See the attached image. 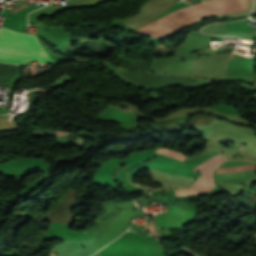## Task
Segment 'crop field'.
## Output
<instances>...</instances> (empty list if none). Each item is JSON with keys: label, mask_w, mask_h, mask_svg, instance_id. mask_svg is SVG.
Masks as SVG:
<instances>
[{"label": "crop field", "mask_w": 256, "mask_h": 256, "mask_svg": "<svg viewBox=\"0 0 256 256\" xmlns=\"http://www.w3.org/2000/svg\"><path fill=\"white\" fill-rule=\"evenodd\" d=\"M247 0H209L182 8L136 32L162 38L201 18L222 13H246Z\"/></svg>", "instance_id": "8a807250"}, {"label": "crop field", "mask_w": 256, "mask_h": 256, "mask_svg": "<svg viewBox=\"0 0 256 256\" xmlns=\"http://www.w3.org/2000/svg\"><path fill=\"white\" fill-rule=\"evenodd\" d=\"M0 51L26 53L48 57L35 35L0 30ZM0 52V61L24 65L28 60L37 59L38 64L53 62L50 58H43L25 54Z\"/></svg>", "instance_id": "ac0d7876"}, {"label": "crop field", "mask_w": 256, "mask_h": 256, "mask_svg": "<svg viewBox=\"0 0 256 256\" xmlns=\"http://www.w3.org/2000/svg\"><path fill=\"white\" fill-rule=\"evenodd\" d=\"M194 210H185L176 207H169V212L163 216L155 217L156 224L163 229L174 228L190 221Z\"/></svg>", "instance_id": "34b2d1b8"}, {"label": "crop field", "mask_w": 256, "mask_h": 256, "mask_svg": "<svg viewBox=\"0 0 256 256\" xmlns=\"http://www.w3.org/2000/svg\"><path fill=\"white\" fill-rule=\"evenodd\" d=\"M214 187L213 182V172L200 177L197 184L191 188L184 189V190H176V196H185L197 193H205L210 191Z\"/></svg>", "instance_id": "412701ff"}, {"label": "crop field", "mask_w": 256, "mask_h": 256, "mask_svg": "<svg viewBox=\"0 0 256 256\" xmlns=\"http://www.w3.org/2000/svg\"><path fill=\"white\" fill-rule=\"evenodd\" d=\"M226 158L217 155L210 158L209 160L203 162L202 164L195 167L193 170L195 172H202L204 174L214 170L218 165H220Z\"/></svg>", "instance_id": "f4fd0767"}, {"label": "crop field", "mask_w": 256, "mask_h": 256, "mask_svg": "<svg viewBox=\"0 0 256 256\" xmlns=\"http://www.w3.org/2000/svg\"><path fill=\"white\" fill-rule=\"evenodd\" d=\"M157 153H161L163 155H166V156H169V157H173V158H176V159H179V160H182L184 161L185 157L183 154L177 152V151H172V150H167V149H158L156 151Z\"/></svg>", "instance_id": "dd49c442"}, {"label": "crop field", "mask_w": 256, "mask_h": 256, "mask_svg": "<svg viewBox=\"0 0 256 256\" xmlns=\"http://www.w3.org/2000/svg\"><path fill=\"white\" fill-rule=\"evenodd\" d=\"M98 1H102V0H66V6L68 7L84 6V5L92 4Z\"/></svg>", "instance_id": "e52e79f7"}, {"label": "crop field", "mask_w": 256, "mask_h": 256, "mask_svg": "<svg viewBox=\"0 0 256 256\" xmlns=\"http://www.w3.org/2000/svg\"><path fill=\"white\" fill-rule=\"evenodd\" d=\"M254 85H256V81H255V84Z\"/></svg>", "instance_id": "d8731c3e"}]
</instances>
